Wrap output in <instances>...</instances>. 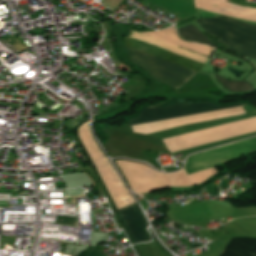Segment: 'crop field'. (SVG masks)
Wrapping results in <instances>:
<instances>
[{
    "instance_id": "crop-field-1",
    "label": "crop field",
    "mask_w": 256,
    "mask_h": 256,
    "mask_svg": "<svg viewBox=\"0 0 256 256\" xmlns=\"http://www.w3.org/2000/svg\"><path fill=\"white\" fill-rule=\"evenodd\" d=\"M131 34V31H130ZM130 34L124 39V44L142 51L146 54L154 56L158 59L166 61L170 64L178 66L182 69L190 71L196 74L203 65L187 58L181 57L179 55L173 54L166 50L160 49L158 47L152 46L150 44L144 43L142 41L136 40L129 37ZM126 49L129 52L130 60L147 71L150 76L172 86L175 88H180L188 79H190L194 74L189 73L185 70L177 68L173 65L165 63L161 60L153 58L149 55L141 53L137 50H134L128 46Z\"/></svg>"
},
{
    "instance_id": "crop-field-2",
    "label": "crop field",
    "mask_w": 256,
    "mask_h": 256,
    "mask_svg": "<svg viewBox=\"0 0 256 256\" xmlns=\"http://www.w3.org/2000/svg\"><path fill=\"white\" fill-rule=\"evenodd\" d=\"M246 105L247 104H235V105H230L225 107H218L213 105L212 103H195V104H175L173 106L164 107V108H143L142 112L139 114V116L136 119H131L129 121H130V125H132V124H138V123H144V122H150V121H156V120H162V119H168V118H174V117L246 106ZM243 110L244 108L240 107V108L210 112L205 114L169 119L164 121L134 125L132 127L134 130H136V129L148 128L153 126L176 123L181 121L204 118V117L232 113V112L243 111Z\"/></svg>"
},
{
    "instance_id": "crop-field-3",
    "label": "crop field",
    "mask_w": 256,
    "mask_h": 256,
    "mask_svg": "<svg viewBox=\"0 0 256 256\" xmlns=\"http://www.w3.org/2000/svg\"><path fill=\"white\" fill-rule=\"evenodd\" d=\"M197 21L204 30L228 45L226 49L256 59V26L227 17Z\"/></svg>"
},
{
    "instance_id": "crop-field-4",
    "label": "crop field",
    "mask_w": 256,
    "mask_h": 256,
    "mask_svg": "<svg viewBox=\"0 0 256 256\" xmlns=\"http://www.w3.org/2000/svg\"><path fill=\"white\" fill-rule=\"evenodd\" d=\"M119 212L135 243L150 240L149 236L143 229V227L146 225V222L137 204L130 205L120 210Z\"/></svg>"
},
{
    "instance_id": "crop-field-5",
    "label": "crop field",
    "mask_w": 256,
    "mask_h": 256,
    "mask_svg": "<svg viewBox=\"0 0 256 256\" xmlns=\"http://www.w3.org/2000/svg\"><path fill=\"white\" fill-rule=\"evenodd\" d=\"M256 248V239L232 238L221 256H254L250 254Z\"/></svg>"
},
{
    "instance_id": "crop-field-6",
    "label": "crop field",
    "mask_w": 256,
    "mask_h": 256,
    "mask_svg": "<svg viewBox=\"0 0 256 256\" xmlns=\"http://www.w3.org/2000/svg\"><path fill=\"white\" fill-rule=\"evenodd\" d=\"M181 36L190 41L206 42L214 45L203 33H201L194 25H188L179 28ZM216 46V45H215Z\"/></svg>"
},
{
    "instance_id": "crop-field-7",
    "label": "crop field",
    "mask_w": 256,
    "mask_h": 256,
    "mask_svg": "<svg viewBox=\"0 0 256 256\" xmlns=\"http://www.w3.org/2000/svg\"><path fill=\"white\" fill-rule=\"evenodd\" d=\"M215 77L221 84L226 86L230 91H252V86L246 82H230L215 74Z\"/></svg>"
},
{
    "instance_id": "crop-field-8",
    "label": "crop field",
    "mask_w": 256,
    "mask_h": 256,
    "mask_svg": "<svg viewBox=\"0 0 256 256\" xmlns=\"http://www.w3.org/2000/svg\"><path fill=\"white\" fill-rule=\"evenodd\" d=\"M87 256H105L102 253H100L96 247H92L90 253H88Z\"/></svg>"
}]
</instances>
